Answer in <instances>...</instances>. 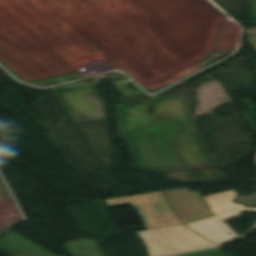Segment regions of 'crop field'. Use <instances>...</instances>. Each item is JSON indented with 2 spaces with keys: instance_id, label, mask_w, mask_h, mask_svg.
Masks as SVG:
<instances>
[{
  "instance_id": "crop-field-4",
  "label": "crop field",
  "mask_w": 256,
  "mask_h": 256,
  "mask_svg": "<svg viewBox=\"0 0 256 256\" xmlns=\"http://www.w3.org/2000/svg\"><path fill=\"white\" fill-rule=\"evenodd\" d=\"M0 250L11 256H57L14 231L0 239Z\"/></svg>"
},
{
  "instance_id": "crop-field-2",
  "label": "crop field",
  "mask_w": 256,
  "mask_h": 256,
  "mask_svg": "<svg viewBox=\"0 0 256 256\" xmlns=\"http://www.w3.org/2000/svg\"><path fill=\"white\" fill-rule=\"evenodd\" d=\"M237 196L238 195L233 190L204 196L203 199L205 200L213 215L236 208H238V210L216 215L185 225L216 245L239 236L237 233L233 232L223 221L240 216L242 211L256 212V208H244L245 206L243 207L242 205L232 203V201Z\"/></svg>"
},
{
  "instance_id": "crop-field-3",
  "label": "crop field",
  "mask_w": 256,
  "mask_h": 256,
  "mask_svg": "<svg viewBox=\"0 0 256 256\" xmlns=\"http://www.w3.org/2000/svg\"><path fill=\"white\" fill-rule=\"evenodd\" d=\"M136 233L145 243L149 256H163L212 246L181 225Z\"/></svg>"
},
{
  "instance_id": "crop-field-1",
  "label": "crop field",
  "mask_w": 256,
  "mask_h": 256,
  "mask_svg": "<svg viewBox=\"0 0 256 256\" xmlns=\"http://www.w3.org/2000/svg\"><path fill=\"white\" fill-rule=\"evenodd\" d=\"M107 206L130 203L145 229L185 223L212 216L198 191L188 188L157 191L105 200Z\"/></svg>"
},
{
  "instance_id": "crop-field-5",
  "label": "crop field",
  "mask_w": 256,
  "mask_h": 256,
  "mask_svg": "<svg viewBox=\"0 0 256 256\" xmlns=\"http://www.w3.org/2000/svg\"><path fill=\"white\" fill-rule=\"evenodd\" d=\"M247 39L250 41V43L256 49V37H250V38H247Z\"/></svg>"
}]
</instances>
